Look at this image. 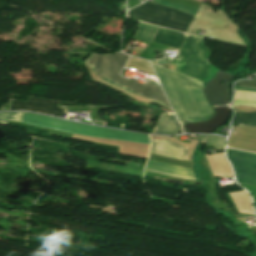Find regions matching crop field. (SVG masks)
Returning <instances> with one entry per match:
<instances>
[{"mask_svg": "<svg viewBox=\"0 0 256 256\" xmlns=\"http://www.w3.org/2000/svg\"><path fill=\"white\" fill-rule=\"evenodd\" d=\"M152 65L174 111L183 119L204 121L212 116V109L202 92L204 82L155 64ZM177 113L178 119L183 120Z\"/></svg>", "mask_w": 256, "mask_h": 256, "instance_id": "crop-field-1", "label": "crop field"}, {"mask_svg": "<svg viewBox=\"0 0 256 256\" xmlns=\"http://www.w3.org/2000/svg\"><path fill=\"white\" fill-rule=\"evenodd\" d=\"M128 58L124 54L94 55L91 54L85 61L90 69L101 79L112 83L118 87L130 90L134 93L156 100L169 106L160 87L147 83L143 85L139 82L124 79L118 76ZM170 107V106H169Z\"/></svg>", "mask_w": 256, "mask_h": 256, "instance_id": "crop-field-2", "label": "crop field"}, {"mask_svg": "<svg viewBox=\"0 0 256 256\" xmlns=\"http://www.w3.org/2000/svg\"><path fill=\"white\" fill-rule=\"evenodd\" d=\"M22 122L46 126L52 129L71 132V133H77V134L112 138V139L146 143V144L150 143L149 136L146 134L99 128V127H94L89 125L57 120V119H53V118H49V117H45L37 114H31V113H25L23 116Z\"/></svg>", "mask_w": 256, "mask_h": 256, "instance_id": "crop-field-3", "label": "crop field"}, {"mask_svg": "<svg viewBox=\"0 0 256 256\" xmlns=\"http://www.w3.org/2000/svg\"><path fill=\"white\" fill-rule=\"evenodd\" d=\"M185 44L180 49L182 59L169 60L176 65V71L207 81L218 70L208 63L210 51L204 46L203 39L185 35Z\"/></svg>", "mask_w": 256, "mask_h": 256, "instance_id": "crop-field-4", "label": "crop field"}, {"mask_svg": "<svg viewBox=\"0 0 256 256\" xmlns=\"http://www.w3.org/2000/svg\"><path fill=\"white\" fill-rule=\"evenodd\" d=\"M133 19L186 33L193 16L174 9L144 3L128 12Z\"/></svg>", "mask_w": 256, "mask_h": 256, "instance_id": "crop-field-5", "label": "crop field"}, {"mask_svg": "<svg viewBox=\"0 0 256 256\" xmlns=\"http://www.w3.org/2000/svg\"><path fill=\"white\" fill-rule=\"evenodd\" d=\"M238 181L256 185V154L228 149Z\"/></svg>", "mask_w": 256, "mask_h": 256, "instance_id": "crop-field-6", "label": "crop field"}, {"mask_svg": "<svg viewBox=\"0 0 256 256\" xmlns=\"http://www.w3.org/2000/svg\"><path fill=\"white\" fill-rule=\"evenodd\" d=\"M57 102L31 98L27 102L13 100L9 110L27 109L61 117L65 111L57 108Z\"/></svg>", "mask_w": 256, "mask_h": 256, "instance_id": "crop-field-7", "label": "crop field"}, {"mask_svg": "<svg viewBox=\"0 0 256 256\" xmlns=\"http://www.w3.org/2000/svg\"><path fill=\"white\" fill-rule=\"evenodd\" d=\"M151 141V153L186 160V148L184 146L170 141Z\"/></svg>", "mask_w": 256, "mask_h": 256, "instance_id": "crop-field-8", "label": "crop field"}, {"mask_svg": "<svg viewBox=\"0 0 256 256\" xmlns=\"http://www.w3.org/2000/svg\"><path fill=\"white\" fill-rule=\"evenodd\" d=\"M153 42L180 49L184 43V36L182 33L159 27Z\"/></svg>", "mask_w": 256, "mask_h": 256, "instance_id": "crop-field-9", "label": "crop field"}, {"mask_svg": "<svg viewBox=\"0 0 256 256\" xmlns=\"http://www.w3.org/2000/svg\"><path fill=\"white\" fill-rule=\"evenodd\" d=\"M178 129L179 124L174 116L161 113L152 133L175 134Z\"/></svg>", "mask_w": 256, "mask_h": 256, "instance_id": "crop-field-10", "label": "crop field"}, {"mask_svg": "<svg viewBox=\"0 0 256 256\" xmlns=\"http://www.w3.org/2000/svg\"><path fill=\"white\" fill-rule=\"evenodd\" d=\"M146 167L168 172V173L194 177L191 169L179 167L171 164L149 160Z\"/></svg>", "mask_w": 256, "mask_h": 256, "instance_id": "crop-field-11", "label": "crop field"}, {"mask_svg": "<svg viewBox=\"0 0 256 256\" xmlns=\"http://www.w3.org/2000/svg\"><path fill=\"white\" fill-rule=\"evenodd\" d=\"M233 126H255L256 127V111L251 113H235Z\"/></svg>", "mask_w": 256, "mask_h": 256, "instance_id": "crop-field-12", "label": "crop field"}, {"mask_svg": "<svg viewBox=\"0 0 256 256\" xmlns=\"http://www.w3.org/2000/svg\"><path fill=\"white\" fill-rule=\"evenodd\" d=\"M156 29H157L156 26H151V25H147L140 22V28L137 32V35L141 36L142 39H145L151 42Z\"/></svg>", "mask_w": 256, "mask_h": 256, "instance_id": "crop-field-13", "label": "crop field"}, {"mask_svg": "<svg viewBox=\"0 0 256 256\" xmlns=\"http://www.w3.org/2000/svg\"><path fill=\"white\" fill-rule=\"evenodd\" d=\"M200 143L224 147L225 139L217 136H199Z\"/></svg>", "mask_w": 256, "mask_h": 256, "instance_id": "crop-field-14", "label": "crop field"}, {"mask_svg": "<svg viewBox=\"0 0 256 256\" xmlns=\"http://www.w3.org/2000/svg\"><path fill=\"white\" fill-rule=\"evenodd\" d=\"M22 114L20 112L0 113V124L6 125L8 120L20 122Z\"/></svg>", "mask_w": 256, "mask_h": 256, "instance_id": "crop-field-15", "label": "crop field"}, {"mask_svg": "<svg viewBox=\"0 0 256 256\" xmlns=\"http://www.w3.org/2000/svg\"><path fill=\"white\" fill-rule=\"evenodd\" d=\"M154 2L159 3V4H163V5H167V6H170L172 8H175V9H178V10H181V11L193 14V15H195V13L197 11L196 9H194L190 6L179 4V3L177 4V6H175L173 4H170V3H167V2H164V1H160V0H155Z\"/></svg>", "mask_w": 256, "mask_h": 256, "instance_id": "crop-field-16", "label": "crop field"}, {"mask_svg": "<svg viewBox=\"0 0 256 256\" xmlns=\"http://www.w3.org/2000/svg\"><path fill=\"white\" fill-rule=\"evenodd\" d=\"M236 86H242V87H255L256 88V80L252 81H239Z\"/></svg>", "mask_w": 256, "mask_h": 256, "instance_id": "crop-field-17", "label": "crop field"}, {"mask_svg": "<svg viewBox=\"0 0 256 256\" xmlns=\"http://www.w3.org/2000/svg\"><path fill=\"white\" fill-rule=\"evenodd\" d=\"M145 170H147V171H152V172H156V173H160V174L167 175V176H172V177H178V178H184V179H193V180H196L195 178L182 177V176L173 175V174L161 173V172H157V171H154V170H151V169H147V168H146Z\"/></svg>", "mask_w": 256, "mask_h": 256, "instance_id": "crop-field-18", "label": "crop field"}, {"mask_svg": "<svg viewBox=\"0 0 256 256\" xmlns=\"http://www.w3.org/2000/svg\"><path fill=\"white\" fill-rule=\"evenodd\" d=\"M236 90L240 91H250V92H256V89L254 88H242V87H235Z\"/></svg>", "mask_w": 256, "mask_h": 256, "instance_id": "crop-field-19", "label": "crop field"}, {"mask_svg": "<svg viewBox=\"0 0 256 256\" xmlns=\"http://www.w3.org/2000/svg\"><path fill=\"white\" fill-rule=\"evenodd\" d=\"M179 122H180V124H181V126H182L184 132L186 133V130H185L184 126H183V123H182L181 121H179Z\"/></svg>", "mask_w": 256, "mask_h": 256, "instance_id": "crop-field-20", "label": "crop field"}]
</instances>
